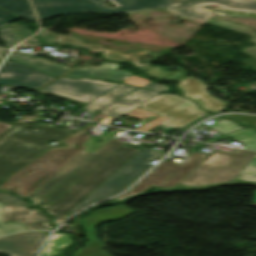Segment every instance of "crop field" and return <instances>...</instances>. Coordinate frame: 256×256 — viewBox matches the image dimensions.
Returning a JSON list of instances; mask_svg holds the SVG:
<instances>
[{"label":"crop field","mask_w":256,"mask_h":256,"mask_svg":"<svg viewBox=\"0 0 256 256\" xmlns=\"http://www.w3.org/2000/svg\"><path fill=\"white\" fill-rule=\"evenodd\" d=\"M70 131L43 126L25 129V123L14 124L0 136V182L50 148L49 141H61Z\"/></svg>","instance_id":"1"},{"label":"crop field","mask_w":256,"mask_h":256,"mask_svg":"<svg viewBox=\"0 0 256 256\" xmlns=\"http://www.w3.org/2000/svg\"><path fill=\"white\" fill-rule=\"evenodd\" d=\"M92 127L93 125H90L65 140L63 143L68 144L66 148H53L12 177L10 176L11 178L0 186V190L14 191L18 195L28 198L79 152L86 148L81 144L89 139L91 135L84 133ZM30 171L31 173L28 174Z\"/></svg>","instance_id":"2"},{"label":"crop field","mask_w":256,"mask_h":256,"mask_svg":"<svg viewBox=\"0 0 256 256\" xmlns=\"http://www.w3.org/2000/svg\"><path fill=\"white\" fill-rule=\"evenodd\" d=\"M124 143L110 139L95 154L82 151L28 199L45 209Z\"/></svg>","instance_id":"3"},{"label":"crop field","mask_w":256,"mask_h":256,"mask_svg":"<svg viewBox=\"0 0 256 256\" xmlns=\"http://www.w3.org/2000/svg\"><path fill=\"white\" fill-rule=\"evenodd\" d=\"M138 150L122 146L105 161L97 166L86 177L69 189L47 209L49 214L55 216V225H59L66 218V214L113 174L121 165H123Z\"/></svg>","instance_id":"4"},{"label":"crop field","mask_w":256,"mask_h":256,"mask_svg":"<svg viewBox=\"0 0 256 256\" xmlns=\"http://www.w3.org/2000/svg\"><path fill=\"white\" fill-rule=\"evenodd\" d=\"M116 8H109L105 0H32L41 20L79 12L119 14L165 7L170 0H109Z\"/></svg>","instance_id":"5"},{"label":"crop field","mask_w":256,"mask_h":256,"mask_svg":"<svg viewBox=\"0 0 256 256\" xmlns=\"http://www.w3.org/2000/svg\"><path fill=\"white\" fill-rule=\"evenodd\" d=\"M238 149L234 154L216 151L200 164L181 184L199 186L232 181L255 155Z\"/></svg>","instance_id":"6"},{"label":"crop field","mask_w":256,"mask_h":256,"mask_svg":"<svg viewBox=\"0 0 256 256\" xmlns=\"http://www.w3.org/2000/svg\"><path fill=\"white\" fill-rule=\"evenodd\" d=\"M161 156H163V154L157 153L156 150L143 147L113 175L71 210L67 216L72 215L85 205L125 190L151 166V164H149L151 161Z\"/></svg>","instance_id":"7"},{"label":"crop field","mask_w":256,"mask_h":256,"mask_svg":"<svg viewBox=\"0 0 256 256\" xmlns=\"http://www.w3.org/2000/svg\"><path fill=\"white\" fill-rule=\"evenodd\" d=\"M208 156L209 155L190 152L188 160L183 165H177L164 160L133 189H131L125 195L115 198L114 200L117 201L121 198L135 195L147 189L151 185L158 187H172L187 177Z\"/></svg>","instance_id":"8"},{"label":"crop field","mask_w":256,"mask_h":256,"mask_svg":"<svg viewBox=\"0 0 256 256\" xmlns=\"http://www.w3.org/2000/svg\"><path fill=\"white\" fill-rule=\"evenodd\" d=\"M139 108L169 118L160 125L176 128H180L206 113L200 111L194 102L170 94H160Z\"/></svg>","instance_id":"9"},{"label":"crop field","mask_w":256,"mask_h":256,"mask_svg":"<svg viewBox=\"0 0 256 256\" xmlns=\"http://www.w3.org/2000/svg\"><path fill=\"white\" fill-rule=\"evenodd\" d=\"M117 84L84 78H60L38 90V92L70 99L75 101L76 104L82 105L101 96Z\"/></svg>","instance_id":"10"},{"label":"crop field","mask_w":256,"mask_h":256,"mask_svg":"<svg viewBox=\"0 0 256 256\" xmlns=\"http://www.w3.org/2000/svg\"><path fill=\"white\" fill-rule=\"evenodd\" d=\"M133 212L135 211L124 205H117L112 208L96 210L90 213V216L84 217L86 247L81 248L72 256H109L104 252L102 244L96 237V227L102 222L118 220Z\"/></svg>","instance_id":"11"},{"label":"crop field","mask_w":256,"mask_h":256,"mask_svg":"<svg viewBox=\"0 0 256 256\" xmlns=\"http://www.w3.org/2000/svg\"><path fill=\"white\" fill-rule=\"evenodd\" d=\"M55 77L29 66L7 60L0 71V84L21 87L28 90H36Z\"/></svg>","instance_id":"12"},{"label":"crop field","mask_w":256,"mask_h":256,"mask_svg":"<svg viewBox=\"0 0 256 256\" xmlns=\"http://www.w3.org/2000/svg\"><path fill=\"white\" fill-rule=\"evenodd\" d=\"M38 36H39L40 40L47 42V43L64 42V43H67L70 45L86 48L88 50H91V51H94L97 53L104 51L102 53V57H104L106 59L116 60V61L127 60V61L132 62L133 64H135L136 66H138L140 68H145L151 64L146 63L143 65H139L138 60L136 58L137 55L148 53L150 55L161 57V55L153 54L146 50H142L138 53L131 52L128 55H126V54H122L114 49H106V48L96 45V44H85L75 38L64 36V35H57L53 32L47 31V30H43L41 33L38 34Z\"/></svg>","instance_id":"13"},{"label":"crop field","mask_w":256,"mask_h":256,"mask_svg":"<svg viewBox=\"0 0 256 256\" xmlns=\"http://www.w3.org/2000/svg\"><path fill=\"white\" fill-rule=\"evenodd\" d=\"M46 232H23L0 238V252L9 256H36Z\"/></svg>","instance_id":"14"},{"label":"crop field","mask_w":256,"mask_h":256,"mask_svg":"<svg viewBox=\"0 0 256 256\" xmlns=\"http://www.w3.org/2000/svg\"><path fill=\"white\" fill-rule=\"evenodd\" d=\"M16 221L24 224L29 230L52 229L47 215L36 210L27 209L15 203H4L3 222Z\"/></svg>","instance_id":"15"},{"label":"crop field","mask_w":256,"mask_h":256,"mask_svg":"<svg viewBox=\"0 0 256 256\" xmlns=\"http://www.w3.org/2000/svg\"><path fill=\"white\" fill-rule=\"evenodd\" d=\"M177 87L183 91L185 97L195 100L202 109L217 113L228 105L209 95L208 87L193 76L179 82Z\"/></svg>","instance_id":"16"},{"label":"crop field","mask_w":256,"mask_h":256,"mask_svg":"<svg viewBox=\"0 0 256 256\" xmlns=\"http://www.w3.org/2000/svg\"><path fill=\"white\" fill-rule=\"evenodd\" d=\"M209 3L222 4V5H225V7H231V8L256 10V0H250L249 2H237V1H229V0H171L168 3V5L165 7V9L178 10V9L192 7L195 11L187 10V11L181 12L180 14L186 17L204 21L207 18H209V14L198 12L194 6L209 4Z\"/></svg>","instance_id":"17"},{"label":"crop field","mask_w":256,"mask_h":256,"mask_svg":"<svg viewBox=\"0 0 256 256\" xmlns=\"http://www.w3.org/2000/svg\"><path fill=\"white\" fill-rule=\"evenodd\" d=\"M158 94L139 88L100 112L118 119Z\"/></svg>","instance_id":"18"},{"label":"crop field","mask_w":256,"mask_h":256,"mask_svg":"<svg viewBox=\"0 0 256 256\" xmlns=\"http://www.w3.org/2000/svg\"><path fill=\"white\" fill-rule=\"evenodd\" d=\"M118 64L114 63H103L100 66H92L88 65L85 67L77 68L64 76H69L72 78H78L80 76L83 77H91V78H101V79H109V80H118L123 81L131 76V73L116 69Z\"/></svg>","instance_id":"19"},{"label":"crop field","mask_w":256,"mask_h":256,"mask_svg":"<svg viewBox=\"0 0 256 256\" xmlns=\"http://www.w3.org/2000/svg\"><path fill=\"white\" fill-rule=\"evenodd\" d=\"M8 59L29 65L52 76H61L63 73L70 69L48 59L39 57L29 59L16 52H12Z\"/></svg>","instance_id":"20"},{"label":"crop field","mask_w":256,"mask_h":256,"mask_svg":"<svg viewBox=\"0 0 256 256\" xmlns=\"http://www.w3.org/2000/svg\"><path fill=\"white\" fill-rule=\"evenodd\" d=\"M135 89H137V87L120 84L111 89L110 91L106 92L101 97L91 101L89 104L82 107L81 109L84 110L85 108H88L86 111L95 113L104 109L105 107L109 106L110 104L114 103L115 101L119 100L120 98L124 97Z\"/></svg>","instance_id":"21"},{"label":"crop field","mask_w":256,"mask_h":256,"mask_svg":"<svg viewBox=\"0 0 256 256\" xmlns=\"http://www.w3.org/2000/svg\"><path fill=\"white\" fill-rule=\"evenodd\" d=\"M32 34V31L27 26L18 23H10L0 28V39L9 48Z\"/></svg>","instance_id":"22"},{"label":"crop field","mask_w":256,"mask_h":256,"mask_svg":"<svg viewBox=\"0 0 256 256\" xmlns=\"http://www.w3.org/2000/svg\"><path fill=\"white\" fill-rule=\"evenodd\" d=\"M0 7L9 10L24 19L36 23L32 9L27 0H0Z\"/></svg>","instance_id":"23"},{"label":"crop field","mask_w":256,"mask_h":256,"mask_svg":"<svg viewBox=\"0 0 256 256\" xmlns=\"http://www.w3.org/2000/svg\"><path fill=\"white\" fill-rule=\"evenodd\" d=\"M73 239L66 233H54L44 245L41 256H55L60 249L72 243Z\"/></svg>","instance_id":"24"},{"label":"crop field","mask_w":256,"mask_h":256,"mask_svg":"<svg viewBox=\"0 0 256 256\" xmlns=\"http://www.w3.org/2000/svg\"><path fill=\"white\" fill-rule=\"evenodd\" d=\"M224 136H227V137L233 138L237 141L243 142L244 148L256 150V132L252 129L242 128V129L224 134L221 137H224ZM221 137H219V138H221ZM219 138H217V139H219ZM217 139L210 140L207 143H212Z\"/></svg>","instance_id":"25"},{"label":"crop field","mask_w":256,"mask_h":256,"mask_svg":"<svg viewBox=\"0 0 256 256\" xmlns=\"http://www.w3.org/2000/svg\"><path fill=\"white\" fill-rule=\"evenodd\" d=\"M207 22L214 23V24L226 27V28H230V29L242 32V33L249 34V35L252 36L250 41H252L253 43L256 44V32L252 29H249V28H246V27H243V26H239V25H236V24H233V23H229V22H226V21H223V20H219V19H216V18H210L209 20H207ZM242 52L256 58V46L250 47V48H244L242 50Z\"/></svg>","instance_id":"26"},{"label":"crop field","mask_w":256,"mask_h":256,"mask_svg":"<svg viewBox=\"0 0 256 256\" xmlns=\"http://www.w3.org/2000/svg\"><path fill=\"white\" fill-rule=\"evenodd\" d=\"M233 181L256 184V159H252Z\"/></svg>","instance_id":"27"},{"label":"crop field","mask_w":256,"mask_h":256,"mask_svg":"<svg viewBox=\"0 0 256 256\" xmlns=\"http://www.w3.org/2000/svg\"><path fill=\"white\" fill-rule=\"evenodd\" d=\"M2 212H3V203L0 202V236L17 232V231L28 230L24 225L20 223H15V222L7 223V224L2 223Z\"/></svg>","instance_id":"28"},{"label":"crop field","mask_w":256,"mask_h":256,"mask_svg":"<svg viewBox=\"0 0 256 256\" xmlns=\"http://www.w3.org/2000/svg\"><path fill=\"white\" fill-rule=\"evenodd\" d=\"M210 128L219 131L221 134H224L242 127L237 126L234 122L222 119L215 124L205 128L204 130H208Z\"/></svg>","instance_id":"29"},{"label":"crop field","mask_w":256,"mask_h":256,"mask_svg":"<svg viewBox=\"0 0 256 256\" xmlns=\"http://www.w3.org/2000/svg\"><path fill=\"white\" fill-rule=\"evenodd\" d=\"M0 201L1 202H16L18 204H21L25 207H27L29 205V203L27 202H24V199L23 198H18L16 196H13V195H6V194H3V192H0Z\"/></svg>","instance_id":"30"},{"label":"crop field","mask_w":256,"mask_h":256,"mask_svg":"<svg viewBox=\"0 0 256 256\" xmlns=\"http://www.w3.org/2000/svg\"><path fill=\"white\" fill-rule=\"evenodd\" d=\"M18 19L16 16H14L13 14L0 9V27L10 23L11 21H14Z\"/></svg>","instance_id":"31"},{"label":"crop field","mask_w":256,"mask_h":256,"mask_svg":"<svg viewBox=\"0 0 256 256\" xmlns=\"http://www.w3.org/2000/svg\"><path fill=\"white\" fill-rule=\"evenodd\" d=\"M127 115L130 116V117L134 116V117L142 119V120L146 119L150 115H152L154 117L158 116L154 113H151V112L139 109V108L133 110L132 112L128 113Z\"/></svg>","instance_id":"32"},{"label":"crop field","mask_w":256,"mask_h":256,"mask_svg":"<svg viewBox=\"0 0 256 256\" xmlns=\"http://www.w3.org/2000/svg\"><path fill=\"white\" fill-rule=\"evenodd\" d=\"M167 118L161 116L155 120H153L152 122L146 124L145 126L141 127L139 130H145V131H148L150 130L151 128H153L154 126L160 124L161 122L165 121Z\"/></svg>","instance_id":"33"},{"label":"crop field","mask_w":256,"mask_h":256,"mask_svg":"<svg viewBox=\"0 0 256 256\" xmlns=\"http://www.w3.org/2000/svg\"><path fill=\"white\" fill-rule=\"evenodd\" d=\"M142 87L148 88L150 90H157L159 92H162L167 89V87H165L163 85H159V84L152 83V82H149V83L143 85Z\"/></svg>","instance_id":"34"},{"label":"crop field","mask_w":256,"mask_h":256,"mask_svg":"<svg viewBox=\"0 0 256 256\" xmlns=\"http://www.w3.org/2000/svg\"><path fill=\"white\" fill-rule=\"evenodd\" d=\"M229 118L240 120L247 124H251L256 121V117H250V116H229Z\"/></svg>","instance_id":"35"},{"label":"crop field","mask_w":256,"mask_h":256,"mask_svg":"<svg viewBox=\"0 0 256 256\" xmlns=\"http://www.w3.org/2000/svg\"><path fill=\"white\" fill-rule=\"evenodd\" d=\"M21 45H24V46H27V47H35V46H39L40 44H39V42H38V40L35 36V37L29 39L28 41L20 44L18 47L15 48V50H17Z\"/></svg>","instance_id":"36"},{"label":"crop field","mask_w":256,"mask_h":256,"mask_svg":"<svg viewBox=\"0 0 256 256\" xmlns=\"http://www.w3.org/2000/svg\"><path fill=\"white\" fill-rule=\"evenodd\" d=\"M124 82H128V83H131V84H135V85L141 86V85L147 83L148 81H145V80H142V79H139V78L133 76V77L125 80Z\"/></svg>","instance_id":"37"},{"label":"crop field","mask_w":256,"mask_h":256,"mask_svg":"<svg viewBox=\"0 0 256 256\" xmlns=\"http://www.w3.org/2000/svg\"><path fill=\"white\" fill-rule=\"evenodd\" d=\"M213 5H215V4H213ZM217 6H221V5H217ZM200 7H201V6H197V7H196L198 11H200V12H207V11L201 9ZM221 7H223V6H221ZM223 8H225V7H223ZM189 9H192V8H189ZM226 9H230V10H239V11H249V12H255V13H256V11H251V10H241V9H231V8H226ZM184 10H186V9H184ZM192 10H193V9H192ZM181 11H183V10L170 11V12L179 14ZM208 13H210V16H211L212 13H211V12H208Z\"/></svg>","instance_id":"38"},{"label":"crop field","mask_w":256,"mask_h":256,"mask_svg":"<svg viewBox=\"0 0 256 256\" xmlns=\"http://www.w3.org/2000/svg\"><path fill=\"white\" fill-rule=\"evenodd\" d=\"M11 126L6 123H0V135L8 130Z\"/></svg>","instance_id":"39"},{"label":"crop field","mask_w":256,"mask_h":256,"mask_svg":"<svg viewBox=\"0 0 256 256\" xmlns=\"http://www.w3.org/2000/svg\"><path fill=\"white\" fill-rule=\"evenodd\" d=\"M8 52V50L0 49V63L2 62V60L7 55Z\"/></svg>","instance_id":"40"},{"label":"crop field","mask_w":256,"mask_h":256,"mask_svg":"<svg viewBox=\"0 0 256 256\" xmlns=\"http://www.w3.org/2000/svg\"><path fill=\"white\" fill-rule=\"evenodd\" d=\"M252 202H256V191H255L254 198H253Z\"/></svg>","instance_id":"41"},{"label":"crop field","mask_w":256,"mask_h":256,"mask_svg":"<svg viewBox=\"0 0 256 256\" xmlns=\"http://www.w3.org/2000/svg\"><path fill=\"white\" fill-rule=\"evenodd\" d=\"M238 1H249V0H238Z\"/></svg>","instance_id":"42"},{"label":"crop field","mask_w":256,"mask_h":256,"mask_svg":"<svg viewBox=\"0 0 256 256\" xmlns=\"http://www.w3.org/2000/svg\"><path fill=\"white\" fill-rule=\"evenodd\" d=\"M252 125H256V122H255V123H253Z\"/></svg>","instance_id":"43"}]
</instances>
